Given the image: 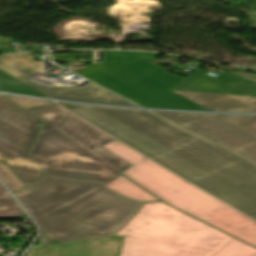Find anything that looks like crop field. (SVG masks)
Listing matches in <instances>:
<instances>
[{
	"label": "crop field",
	"instance_id": "crop-field-1",
	"mask_svg": "<svg viewBox=\"0 0 256 256\" xmlns=\"http://www.w3.org/2000/svg\"><path fill=\"white\" fill-rule=\"evenodd\" d=\"M58 104L256 220V165L148 111Z\"/></svg>",
	"mask_w": 256,
	"mask_h": 256
},
{
	"label": "crop field",
	"instance_id": "crop-field-2",
	"mask_svg": "<svg viewBox=\"0 0 256 256\" xmlns=\"http://www.w3.org/2000/svg\"><path fill=\"white\" fill-rule=\"evenodd\" d=\"M108 183L47 177L17 193L43 232L59 242L111 237L143 202L125 198Z\"/></svg>",
	"mask_w": 256,
	"mask_h": 256
},
{
	"label": "crop field",
	"instance_id": "crop-field-3",
	"mask_svg": "<svg viewBox=\"0 0 256 256\" xmlns=\"http://www.w3.org/2000/svg\"><path fill=\"white\" fill-rule=\"evenodd\" d=\"M116 235L120 256H256V249L163 202L144 203Z\"/></svg>",
	"mask_w": 256,
	"mask_h": 256
},
{
	"label": "crop field",
	"instance_id": "crop-field-4",
	"mask_svg": "<svg viewBox=\"0 0 256 256\" xmlns=\"http://www.w3.org/2000/svg\"><path fill=\"white\" fill-rule=\"evenodd\" d=\"M30 111L46 120L29 156L50 176L109 182L133 166L101 148L114 138L58 105Z\"/></svg>",
	"mask_w": 256,
	"mask_h": 256
},
{
	"label": "crop field",
	"instance_id": "crop-field-5",
	"mask_svg": "<svg viewBox=\"0 0 256 256\" xmlns=\"http://www.w3.org/2000/svg\"><path fill=\"white\" fill-rule=\"evenodd\" d=\"M102 148L133 164L123 174L155 196L256 247V222L117 140Z\"/></svg>",
	"mask_w": 256,
	"mask_h": 256
},
{
	"label": "crop field",
	"instance_id": "crop-field-6",
	"mask_svg": "<svg viewBox=\"0 0 256 256\" xmlns=\"http://www.w3.org/2000/svg\"><path fill=\"white\" fill-rule=\"evenodd\" d=\"M156 56L103 51L104 64L89 65L81 76L143 107L208 110L170 91L184 78L166 72L168 68L150 64Z\"/></svg>",
	"mask_w": 256,
	"mask_h": 256
},
{
	"label": "crop field",
	"instance_id": "crop-field-7",
	"mask_svg": "<svg viewBox=\"0 0 256 256\" xmlns=\"http://www.w3.org/2000/svg\"><path fill=\"white\" fill-rule=\"evenodd\" d=\"M256 163V133L221 116L156 112Z\"/></svg>",
	"mask_w": 256,
	"mask_h": 256
},
{
	"label": "crop field",
	"instance_id": "crop-field-8",
	"mask_svg": "<svg viewBox=\"0 0 256 256\" xmlns=\"http://www.w3.org/2000/svg\"><path fill=\"white\" fill-rule=\"evenodd\" d=\"M0 68L50 98L137 106L92 83L80 88L77 86L48 87L33 82L27 78L41 70V62H37L31 53L2 56Z\"/></svg>",
	"mask_w": 256,
	"mask_h": 256
},
{
	"label": "crop field",
	"instance_id": "crop-field-9",
	"mask_svg": "<svg viewBox=\"0 0 256 256\" xmlns=\"http://www.w3.org/2000/svg\"><path fill=\"white\" fill-rule=\"evenodd\" d=\"M40 118L0 96V135L30 148L40 126Z\"/></svg>",
	"mask_w": 256,
	"mask_h": 256
},
{
	"label": "crop field",
	"instance_id": "crop-field-10",
	"mask_svg": "<svg viewBox=\"0 0 256 256\" xmlns=\"http://www.w3.org/2000/svg\"><path fill=\"white\" fill-rule=\"evenodd\" d=\"M207 73L199 69L172 89L256 96V83L253 81H245L227 71L222 77L210 76Z\"/></svg>",
	"mask_w": 256,
	"mask_h": 256
},
{
	"label": "crop field",
	"instance_id": "crop-field-11",
	"mask_svg": "<svg viewBox=\"0 0 256 256\" xmlns=\"http://www.w3.org/2000/svg\"><path fill=\"white\" fill-rule=\"evenodd\" d=\"M122 237L70 241L54 246H36L28 256H117Z\"/></svg>",
	"mask_w": 256,
	"mask_h": 256
},
{
	"label": "crop field",
	"instance_id": "crop-field-12",
	"mask_svg": "<svg viewBox=\"0 0 256 256\" xmlns=\"http://www.w3.org/2000/svg\"><path fill=\"white\" fill-rule=\"evenodd\" d=\"M26 149L0 137V159H5L27 186L49 176L46 165L27 155Z\"/></svg>",
	"mask_w": 256,
	"mask_h": 256
},
{
	"label": "crop field",
	"instance_id": "crop-field-13",
	"mask_svg": "<svg viewBox=\"0 0 256 256\" xmlns=\"http://www.w3.org/2000/svg\"><path fill=\"white\" fill-rule=\"evenodd\" d=\"M212 111L256 112V97L176 91Z\"/></svg>",
	"mask_w": 256,
	"mask_h": 256
},
{
	"label": "crop field",
	"instance_id": "crop-field-14",
	"mask_svg": "<svg viewBox=\"0 0 256 256\" xmlns=\"http://www.w3.org/2000/svg\"><path fill=\"white\" fill-rule=\"evenodd\" d=\"M105 187L125 197L140 200L143 202L159 200L122 175L116 178L108 185H106Z\"/></svg>",
	"mask_w": 256,
	"mask_h": 256
},
{
	"label": "crop field",
	"instance_id": "crop-field-15",
	"mask_svg": "<svg viewBox=\"0 0 256 256\" xmlns=\"http://www.w3.org/2000/svg\"><path fill=\"white\" fill-rule=\"evenodd\" d=\"M0 90L43 96L0 69ZM45 97V96H44Z\"/></svg>",
	"mask_w": 256,
	"mask_h": 256
},
{
	"label": "crop field",
	"instance_id": "crop-field-16",
	"mask_svg": "<svg viewBox=\"0 0 256 256\" xmlns=\"http://www.w3.org/2000/svg\"><path fill=\"white\" fill-rule=\"evenodd\" d=\"M24 215L23 211L0 184V218H13Z\"/></svg>",
	"mask_w": 256,
	"mask_h": 256
},
{
	"label": "crop field",
	"instance_id": "crop-field-17",
	"mask_svg": "<svg viewBox=\"0 0 256 256\" xmlns=\"http://www.w3.org/2000/svg\"><path fill=\"white\" fill-rule=\"evenodd\" d=\"M0 177L13 193L25 188V185L5 160H0Z\"/></svg>",
	"mask_w": 256,
	"mask_h": 256
},
{
	"label": "crop field",
	"instance_id": "crop-field-18",
	"mask_svg": "<svg viewBox=\"0 0 256 256\" xmlns=\"http://www.w3.org/2000/svg\"><path fill=\"white\" fill-rule=\"evenodd\" d=\"M9 98H11L12 100L19 103L20 105H22L23 107H25L27 109L42 106V105L53 104L51 102H46V101L24 99V98L12 97V96H9Z\"/></svg>",
	"mask_w": 256,
	"mask_h": 256
},
{
	"label": "crop field",
	"instance_id": "crop-field-19",
	"mask_svg": "<svg viewBox=\"0 0 256 256\" xmlns=\"http://www.w3.org/2000/svg\"><path fill=\"white\" fill-rule=\"evenodd\" d=\"M55 61L65 63L66 61L75 60V56H93V53H80V54H53Z\"/></svg>",
	"mask_w": 256,
	"mask_h": 256
},
{
	"label": "crop field",
	"instance_id": "crop-field-20",
	"mask_svg": "<svg viewBox=\"0 0 256 256\" xmlns=\"http://www.w3.org/2000/svg\"><path fill=\"white\" fill-rule=\"evenodd\" d=\"M241 125H246L254 120H256V116H243V115H223Z\"/></svg>",
	"mask_w": 256,
	"mask_h": 256
},
{
	"label": "crop field",
	"instance_id": "crop-field-21",
	"mask_svg": "<svg viewBox=\"0 0 256 256\" xmlns=\"http://www.w3.org/2000/svg\"><path fill=\"white\" fill-rule=\"evenodd\" d=\"M236 74L256 82V75L255 74H249V73H243V72H238Z\"/></svg>",
	"mask_w": 256,
	"mask_h": 256
},
{
	"label": "crop field",
	"instance_id": "crop-field-22",
	"mask_svg": "<svg viewBox=\"0 0 256 256\" xmlns=\"http://www.w3.org/2000/svg\"><path fill=\"white\" fill-rule=\"evenodd\" d=\"M245 127H247V128H249V129H251V130L256 132V121L246 125Z\"/></svg>",
	"mask_w": 256,
	"mask_h": 256
},
{
	"label": "crop field",
	"instance_id": "crop-field-23",
	"mask_svg": "<svg viewBox=\"0 0 256 256\" xmlns=\"http://www.w3.org/2000/svg\"><path fill=\"white\" fill-rule=\"evenodd\" d=\"M217 1H220V0H217Z\"/></svg>",
	"mask_w": 256,
	"mask_h": 256
}]
</instances>
